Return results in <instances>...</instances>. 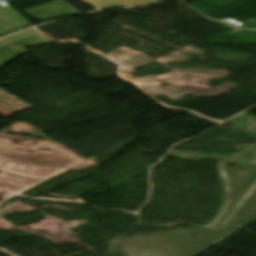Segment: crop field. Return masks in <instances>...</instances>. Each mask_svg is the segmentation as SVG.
<instances>
[{
    "instance_id": "8a807250",
    "label": "crop field",
    "mask_w": 256,
    "mask_h": 256,
    "mask_svg": "<svg viewBox=\"0 0 256 256\" xmlns=\"http://www.w3.org/2000/svg\"><path fill=\"white\" fill-rule=\"evenodd\" d=\"M24 12L33 16L37 20L44 22L56 18L64 17L74 13L77 10L63 2L62 0H55L28 10ZM31 25L21 15L13 11L9 7H0V36L8 34L17 29Z\"/></svg>"
},
{
    "instance_id": "ac0d7876",
    "label": "crop field",
    "mask_w": 256,
    "mask_h": 256,
    "mask_svg": "<svg viewBox=\"0 0 256 256\" xmlns=\"http://www.w3.org/2000/svg\"><path fill=\"white\" fill-rule=\"evenodd\" d=\"M51 42V40L32 29L1 39L0 68L19 55L28 52L24 47Z\"/></svg>"
},
{
    "instance_id": "34b2d1b8",
    "label": "crop field",
    "mask_w": 256,
    "mask_h": 256,
    "mask_svg": "<svg viewBox=\"0 0 256 256\" xmlns=\"http://www.w3.org/2000/svg\"><path fill=\"white\" fill-rule=\"evenodd\" d=\"M28 107L31 106L0 89V113L4 116Z\"/></svg>"
},
{
    "instance_id": "412701ff",
    "label": "crop field",
    "mask_w": 256,
    "mask_h": 256,
    "mask_svg": "<svg viewBox=\"0 0 256 256\" xmlns=\"http://www.w3.org/2000/svg\"><path fill=\"white\" fill-rule=\"evenodd\" d=\"M98 9L112 6H140L157 0H80Z\"/></svg>"
}]
</instances>
